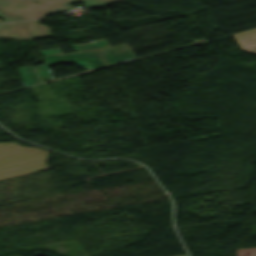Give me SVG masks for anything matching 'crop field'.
Here are the masks:
<instances>
[{
    "instance_id": "crop-field-1",
    "label": "crop field",
    "mask_w": 256,
    "mask_h": 256,
    "mask_svg": "<svg viewBox=\"0 0 256 256\" xmlns=\"http://www.w3.org/2000/svg\"><path fill=\"white\" fill-rule=\"evenodd\" d=\"M48 153L16 143L0 144V180L49 169Z\"/></svg>"
},
{
    "instance_id": "crop-field-2",
    "label": "crop field",
    "mask_w": 256,
    "mask_h": 256,
    "mask_svg": "<svg viewBox=\"0 0 256 256\" xmlns=\"http://www.w3.org/2000/svg\"><path fill=\"white\" fill-rule=\"evenodd\" d=\"M0 37L16 40L31 39L26 22L1 24Z\"/></svg>"
},
{
    "instance_id": "crop-field-3",
    "label": "crop field",
    "mask_w": 256,
    "mask_h": 256,
    "mask_svg": "<svg viewBox=\"0 0 256 256\" xmlns=\"http://www.w3.org/2000/svg\"><path fill=\"white\" fill-rule=\"evenodd\" d=\"M0 18L4 19V20L1 21L0 23H2V22H10V21L25 20V19H23V18L16 17V16H13V15H10V14L4 13V12H1V11H0Z\"/></svg>"
},
{
    "instance_id": "crop-field-4",
    "label": "crop field",
    "mask_w": 256,
    "mask_h": 256,
    "mask_svg": "<svg viewBox=\"0 0 256 256\" xmlns=\"http://www.w3.org/2000/svg\"><path fill=\"white\" fill-rule=\"evenodd\" d=\"M237 256H256V248L236 250Z\"/></svg>"
},
{
    "instance_id": "crop-field-5",
    "label": "crop field",
    "mask_w": 256,
    "mask_h": 256,
    "mask_svg": "<svg viewBox=\"0 0 256 256\" xmlns=\"http://www.w3.org/2000/svg\"><path fill=\"white\" fill-rule=\"evenodd\" d=\"M185 256V255H184Z\"/></svg>"
}]
</instances>
